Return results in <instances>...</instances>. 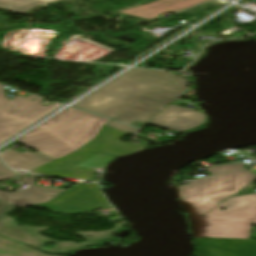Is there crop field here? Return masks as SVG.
<instances>
[{
	"mask_svg": "<svg viewBox=\"0 0 256 256\" xmlns=\"http://www.w3.org/2000/svg\"><path fill=\"white\" fill-rule=\"evenodd\" d=\"M133 69V68H132ZM185 79L167 71L133 69L98 89L74 107L131 125L146 123L184 91Z\"/></svg>",
	"mask_w": 256,
	"mask_h": 256,
	"instance_id": "crop-field-1",
	"label": "crop field"
},
{
	"mask_svg": "<svg viewBox=\"0 0 256 256\" xmlns=\"http://www.w3.org/2000/svg\"><path fill=\"white\" fill-rule=\"evenodd\" d=\"M109 121L69 108L16 141L57 160L91 141Z\"/></svg>",
	"mask_w": 256,
	"mask_h": 256,
	"instance_id": "crop-field-2",
	"label": "crop field"
},
{
	"mask_svg": "<svg viewBox=\"0 0 256 256\" xmlns=\"http://www.w3.org/2000/svg\"><path fill=\"white\" fill-rule=\"evenodd\" d=\"M188 216L195 237L248 238L256 224V194L228 199L204 216Z\"/></svg>",
	"mask_w": 256,
	"mask_h": 256,
	"instance_id": "crop-field-3",
	"label": "crop field"
},
{
	"mask_svg": "<svg viewBox=\"0 0 256 256\" xmlns=\"http://www.w3.org/2000/svg\"><path fill=\"white\" fill-rule=\"evenodd\" d=\"M254 180L256 176L253 173L242 169L193 180L189 185L174 187V189L187 213L204 215Z\"/></svg>",
	"mask_w": 256,
	"mask_h": 256,
	"instance_id": "crop-field-4",
	"label": "crop field"
},
{
	"mask_svg": "<svg viewBox=\"0 0 256 256\" xmlns=\"http://www.w3.org/2000/svg\"><path fill=\"white\" fill-rule=\"evenodd\" d=\"M3 85L0 84V143L27 128L60 104L50 106L40 104L43 98L17 96L12 101L5 98ZM37 99L32 102L31 99Z\"/></svg>",
	"mask_w": 256,
	"mask_h": 256,
	"instance_id": "crop-field-5",
	"label": "crop field"
},
{
	"mask_svg": "<svg viewBox=\"0 0 256 256\" xmlns=\"http://www.w3.org/2000/svg\"><path fill=\"white\" fill-rule=\"evenodd\" d=\"M14 207L15 206H12L10 204L0 201V234L6 235L18 241L33 245L44 251L66 252V251L74 250L80 247L95 245V244H98L99 243L98 241L100 240L110 238L111 233L113 231L119 230L122 228L121 226L116 225L112 230H109V231L77 232L76 234L87 239L86 242L80 243V244H74L72 242H56V241H52L50 239L44 238L38 234L39 231L45 230L47 228H32L29 226L16 227L13 219L3 215L6 211ZM88 236H90V238ZM46 242L56 243V247L51 250L43 249L42 246Z\"/></svg>",
	"mask_w": 256,
	"mask_h": 256,
	"instance_id": "crop-field-6",
	"label": "crop field"
},
{
	"mask_svg": "<svg viewBox=\"0 0 256 256\" xmlns=\"http://www.w3.org/2000/svg\"><path fill=\"white\" fill-rule=\"evenodd\" d=\"M109 206L102 196L97 184L83 185L79 183L75 188L60 194L48 203L33 207L46 208L55 213H83Z\"/></svg>",
	"mask_w": 256,
	"mask_h": 256,
	"instance_id": "crop-field-7",
	"label": "crop field"
},
{
	"mask_svg": "<svg viewBox=\"0 0 256 256\" xmlns=\"http://www.w3.org/2000/svg\"><path fill=\"white\" fill-rule=\"evenodd\" d=\"M114 157L93 153L75 152L57 161L50 162L33 172L89 180L93 169L103 170Z\"/></svg>",
	"mask_w": 256,
	"mask_h": 256,
	"instance_id": "crop-field-8",
	"label": "crop field"
},
{
	"mask_svg": "<svg viewBox=\"0 0 256 256\" xmlns=\"http://www.w3.org/2000/svg\"><path fill=\"white\" fill-rule=\"evenodd\" d=\"M16 177V174L7 169L0 162V180ZM23 182L30 184L24 191L9 193L0 191V200L19 207H27L47 202L65 190L34 186L36 179L20 178Z\"/></svg>",
	"mask_w": 256,
	"mask_h": 256,
	"instance_id": "crop-field-9",
	"label": "crop field"
},
{
	"mask_svg": "<svg viewBox=\"0 0 256 256\" xmlns=\"http://www.w3.org/2000/svg\"><path fill=\"white\" fill-rule=\"evenodd\" d=\"M199 256H256L253 240H197Z\"/></svg>",
	"mask_w": 256,
	"mask_h": 256,
	"instance_id": "crop-field-10",
	"label": "crop field"
},
{
	"mask_svg": "<svg viewBox=\"0 0 256 256\" xmlns=\"http://www.w3.org/2000/svg\"><path fill=\"white\" fill-rule=\"evenodd\" d=\"M206 120L207 116L204 113L170 105L164 109L155 119L149 122V124L167 129L184 131L197 127L203 124Z\"/></svg>",
	"mask_w": 256,
	"mask_h": 256,
	"instance_id": "crop-field-11",
	"label": "crop field"
},
{
	"mask_svg": "<svg viewBox=\"0 0 256 256\" xmlns=\"http://www.w3.org/2000/svg\"><path fill=\"white\" fill-rule=\"evenodd\" d=\"M126 135L127 133L104 126L93 141L79 150L122 156L142 149L119 140Z\"/></svg>",
	"mask_w": 256,
	"mask_h": 256,
	"instance_id": "crop-field-12",
	"label": "crop field"
},
{
	"mask_svg": "<svg viewBox=\"0 0 256 256\" xmlns=\"http://www.w3.org/2000/svg\"><path fill=\"white\" fill-rule=\"evenodd\" d=\"M205 1L208 0H157L152 3L119 11V13L151 20L167 10L171 12L183 10Z\"/></svg>",
	"mask_w": 256,
	"mask_h": 256,
	"instance_id": "crop-field-13",
	"label": "crop field"
},
{
	"mask_svg": "<svg viewBox=\"0 0 256 256\" xmlns=\"http://www.w3.org/2000/svg\"><path fill=\"white\" fill-rule=\"evenodd\" d=\"M0 157L7 166L29 172L47 162L54 161L39 152L18 153L12 149L0 154Z\"/></svg>",
	"mask_w": 256,
	"mask_h": 256,
	"instance_id": "crop-field-14",
	"label": "crop field"
},
{
	"mask_svg": "<svg viewBox=\"0 0 256 256\" xmlns=\"http://www.w3.org/2000/svg\"><path fill=\"white\" fill-rule=\"evenodd\" d=\"M0 256H49L0 237Z\"/></svg>",
	"mask_w": 256,
	"mask_h": 256,
	"instance_id": "crop-field-15",
	"label": "crop field"
},
{
	"mask_svg": "<svg viewBox=\"0 0 256 256\" xmlns=\"http://www.w3.org/2000/svg\"><path fill=\"white\" fill-rule=\"evenodd\" d=\"M51 2L60 1V0H49ZM45 3L44 0H0V7L6 10L26 13L36 4Z\"/></svg>",
	"mask_w": 256,
	"mask_h": 256,
	"instance_id": "crop-field-16",
	"label": "crop field"
},
{
	"mask_svg": "<svg viewBox=\"0 0 256 256\" xmlns=\"http://www.w3.org/2000/svg\"><path fill=\"white\" fill-rule=\"evenodd\" d=\"M244 164L243 163H234V164H227V165H221V166H215L208 168V171L213 174H218L238 168H242Z\"/></svg>",
	"mask_w": 256,
	"mask_h": 256,
	"instance_id": "crop-field-17",
	"label": "crop field"
},
{
	"mask_svg": "<svg viewBox=\"0 0 256 256\" xmlns=\"http://www.w3.org/2000/svg\"><path fill=\"white\" fill-rule=\"evenodd\" d=\"M107 126H110V127L115 128L117 130H120V131L130 133L132 135H134L138 131V129L131 128V127H128V126H125V125H121V124H118L114 121L108 123Z\"/></svg>",
	"mask_w": 256,
	"mask_h": 256,
	"instance_id": "crop-field-18",
	"label": "crop field"
},
{
	"mask_svg": "<svg viewBox=\"0 0 256 256\" xmlns=\"http://www.w3.org/2000/svg\"><path fill=\"white\" fill-rule=\"evenodd\" d=\"M47 3H49V1L48 0H45Z\"/></svg>",
	"mask_w": 256,
	"mask_h": 256,
	"instance_id": "crop-field-19",
	"label": "crop field"
}]
</instances>
